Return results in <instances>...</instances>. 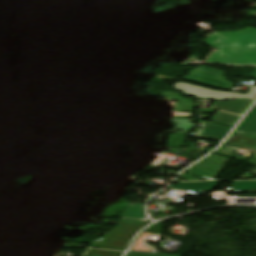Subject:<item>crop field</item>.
<instances>
[{
    "instance_id": "9",
    "label": "crop field",
    "mask_w": 256,
    "mask_h": 256,
    "mask_svg": "<svg viewBox=\"0 0 256 256\" xmlns=\"http://www.w3.org/2000/svg\"><path fill=\"white\" fill-rule=\"evenodd\" d=\"M239 118L237 115L218 111L209 121L232 127Z\"/></svg>"
},
{
    "instance_id": "11",
    "label": "crop field",
    "mask_w": 256,
    "mask_h": 256,
    "mask_svg": "<svg viewBox=\"0 0 256 256\" xmlns=\"http://www.w3.org/2000/svg\"><path fill=\"white\" fill-rule=\"evenodd\" d=\"M250 189H256V181L253 182H234L233 191H246Z\"/></svg>"
},
{
    "instance_id": "8",
    "label": "crop field",
    "mask_w": 256,
    "mask_h": 256,
    "mask_svg": "<svg viewBox=\"0 0 256 256\" xmlns=\"http://www.w3.org/2000/svg\"><path fill=\"white\" fill-rule=\"evenodd\" d=\"M229 128L210 123L200 137L223 140Z\"/></svg>"
},
{
    "instance_id": "14",
    "label": "crop field",
    "mask_w": 256,
    "mask_h": 256,
    "mask_svg": "<svg viewBox=\"0 0 256 256\" xmlns=\"http://www.w3.org/2000/svg\"><path fill=\"white\" fill-rule=\"evenodd\" d=\"M249 171L252 172V173H254V174H256V167L253 168V169H251V170H249Z\"/></svg>"
},
{
    "instance_id": "1",
    "label": "crop field",
    "mask_w": 256,
    "mask_h": 256,
    "mask_svg": "<svg viewBox=\"0 0 256 256\" xmlns=\"http://www.w3.org/2000/svg\"><path fill=\"white\" fill-rule=\"evenodd\" d=\"M205 43L217 49L206 61L208 63L256 65V29L254 28L212 34Z\"/></svg>"
},
{
    "instance_id": "2",
    "label": "crop field",
    "mask_w": 256,
    "mask_h": 256,
    "mask_svg": "<svg viewBox=\"0 0 256 256\" xmlns=\"http://www.w3.org/2000/svg\"><path fill=\"white\" fill-rule=\"evenodd\" d=\"M150 223L122 219L104 238L98 241L93 247L124 251L128 242L132 239L135 232L142 226Z\"/></svg>"
},
{
    "instance_id": "3",
    "label": "crop field",
    "mask_w": 256,
    "mask_h": 256,
    "mask_svg": "<svg viewBox=\"0 0 256 256\" xmlns=\"http://www.w3.org/2000/svg\"><path fill=\"white\" fill-rule=\"evenodd\" d=\"M224 73L225 71L200 66L188 73L187 76L182 77V79L210 88L229 90L234 83L225 81V78L222 77Z\"/></svg>"
},
{
    "instance_id": "12",
    "label": "crop field",
    "mask_w": 256,
    "mask_h": 256,
    "mask_svg": "<svg viewBox=\"0 0 256 256\" xmlns=\"http://www.w3.org/2000/svg\"><path fill=\"white\" fill-rule=\"evenodd\" d=\"M121 255H122V253H120V252L90 249V250H88L86 256H121Z\"/></svg>"
},
{
    "instance_id": "13",
    "label": "crop field",
    "mask_w": 256,
    "mask_h": 256,
    "mask_svg": "<svg viewBox=\"0 0 256 256\" xmlns=\"http://www.w3.org/2000/svg\"><path fill=\"white\" fill-rule=\"evenodd\" d=\"M127 256H181V255H171V254H145V253H134L128 252Z\"/></svg>"
},
{
    "instance_id": "15",
    "label": "crop field",
    "mask_w": 256,
    "mask_h": 256,
    "mask_svg": "<svg viewBox=\"0 0 256 256\" xmlns=\"http://www.w3.org/2000/svg\"><path fill=\"white\" fill-rule=\"evenodd\" d=\"M252 77H253V78H256V69H255V71H254Z\"/></svg>"
},
{
    "instance_id": "6",
    "label": "crop field",
    "mask_w": 256,
    "mask_h": 256,
    "mask_svg": "<svg viewBox=\"0 0 256 256\" xmlns=\"http://www.w3.org/2000/svg\"><path fill=\"white\" fill-rule=\"evenodd\" d=\"M235 132L256 135V105Z\"/></svg>"
},
{
    "instance_id": "7",
    "label": "crop field",
    "mask_w": 256,
    "mask_h": 256,
    "mask_svg": "<svg viewBox=\"0 0 256 256\" xmlns=\"http://www.w3.org/2000/svg\"><path fill=\"white\" fill-rule=\"evenodd\" d=\"M217 185V182H197V183H179L169 188L178 190H192L199 193L201 190L211 191Z\"/></svg>"
},
{
    "instance_id": "5",
    "label": "crop field",
    "mask_w": 256,
    "mask_h": 256,
    "mask_svg": "<svg viewBox=\"0 0 256 256\" xmlns=\"http://www.w3.org/2000/svg\"><path fill=\"white\" fill-rule=\"evenodd\" d=\"M250 100H237V101H221L214 102L210 108L227 111L235 114L242 115L247 107L251 104Z\"/></svg>"
},
{
    "instance_id": "10",
    "label": "crop field",
    "mask_w": 256,
    "mask_h": 256,
    "mask_svg": "<svg viewBox=\"0 0 256 256\" xmlns=\"http://www.w3.org/2000/svg\"><path fill=\"white\" fill-rule=\"evenodd\" d=\"M122 217L144 219L143 205L129 204Z\"/></svg>"
},
{
    "instance_id": "4",
    "label": "crop field",
    "mask_w": 256,
    "mask_h": 256,
    "mask_svg": "<svg viewBox=\"0 0 256 256\" xmlns=\"http://www.w3.org/2000/svg\"><path fill=\"white\" fill-rule=\"evenodd\" d=\"M227 160L228 159L211 154L186 172L201 180L214 179ZM185 173L178 178L184 181L197 180Z\"/></svg>"
}]
</instances>
